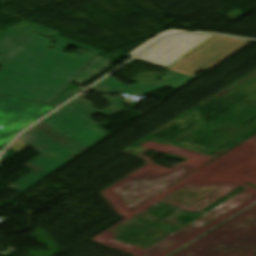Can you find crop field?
I'll return each mask as SVG.
<instances>
[{
	"instance_id": "obj_7",
	"label": "crop field",
	"mask_w": 256,
	"mask_h": 256,
	"mask_svg": "<svg viewBox=\"0 0 256 256\" xmlns=\"http://www.w3.org/2000/svg\"><path fill=\"white\" fill-rule=\"evenodd\" d=\"M193 79L195 78L170 71L157 84L137 83L126 86L125 84L109 76L103 81L91 87L90 91L104 94H113L117 91H122L125 94H143L164 85L179 89Z\"/></svg>"
},
{
	"instance_id": "obj_8",
	"label": "crop field",
	"mask_w": 256,
	"mask_h": 256,
	"mask_svg": "<svg viewBox=\"0 0 256 256\" xmlns=\"http://www.w3.org/2000/svg\"><path fill=\"white\" fill-rule=\"evenodd\" d=\"M35 127L38 128L39 130H41L46 135H48L49 137H51L52 139H54L55 141H57L58 143H60L61 145H63L64 147L68 148L69 150H71L72 152L77 154L78 156L81 155L86 150H88V149L84 148L83 146H81L79 143H77L72 138L64 143H61L62 141H64L65 139H67L69 137L66 136L64 133H62L61 131L54 128L53 126L49 125L44 120L41 123L35 125Z\"/></svg>"
},
{
	"instance_id": "obj_9",
	"label": "crop field",
	"mask_w": 256,
	"mask_h": 256,
	"mask_svg": "<svg viewBox=\"0 0 256 256\" xmlns=\"http://www.w3.org/2000/svg\"><path fill=\"white\" fill-rule=\"evenodd\" d=\"M16 26H19L21 28L27 29L29 31L38 33L40 35L58 40L60 42H63V43H66V44H69V45H72V46H75V47H79V48H82V49H85V50L92 51V52L97 53V54L104 53L103 51H100V50H97V49H94V48H90V47L81 45L79 43L70 41V40H68L64 37L58 36L60 33L57 32V31L45 28L43 26L28 22V21H25V20L21 21Z\"/></svg>"
},
{
	"instance_id": "obj_13",
	"label": "crop field",
	"mask_w": 256,
	"mask_h": 256,
	"mask_svg": "<svg viewBox=\"0 0 256 256\" xmlns=\"http://www.w3.org/2000/svg\"><path fill=\"white\" fill-rule=\"evenodd\" d=\"M27 146L28 145H26L24 142H22V141L17 139L9 148L19 152V151L23 150Z\"/></svg>"
},
{
	"instance_id": "obj_4",
	"label": "crop field",
	"mask_w": 256,
	"mask_h": 256,
	"mask_svg": "<svg viewBox=\"0 0 256 256\" xmlns=\"http://www.w3.org/2000/svg\"><path fill=\"white\" fill-rule=\"evenodd\" d=\"M248 41L212 35L165 68L194 77L242 48Z\"/></svg>"
},
{
	"instance_id": "obj_1",
	"label": "crop field",
	"mask_w": 256,
	"mask_h": 256,
	"mask_svg": "<svg viewBox=\"0 0 256 256\" xmlns=\"http://www.w3.org/2000/svg\"><path fill=\"white\" fill-rule=\"evenodd\" d=\"M23 36L29 41L22 44L13 40ZM52 41L15 27L1 35L0 92L49 104L96 56L88 52L81 58L63 54L68 45L50 44ZM50 46L54 48L48 49Z\"/></svg>"
},
{
	"instance_id": "obj_3",
	"label": "crop field",
	"mask_w": 256,
	"mask_h": 256,
	"mask_svg": "<svg viewBox=\"0 0 256 256\" xmlns=\"http://www.w3.org/2000/svg\"><path fill=\"white\" fill-rule=\"evenodd\" d=\"M19 139L41 153L25 164L33 171L7 187L20 193L78 157L34 127Z\"/></svg>"
},
{
	"instance_id": "obj_5",
	"label": "crop field",
	"mask_w": 256,
	"mask_h": 256,
	"mask_svg": "<svg viewBox=\"0 0 256 256\" xmlns=\"http://www.w3.org/2000/svg\"><path fill=\"white\" fill-rule=\"evenodd\" d=\"M52 108L53 106L0 95V125L4 126L0 129V146Z\"/></svg>"
},
{
	"instance_id": "obj_10",
	"label": "crop field",
	"mask_w": 256,
	"mask_h": 256,
	"mask_svg": "<svg viewBox=\"0 0 256 256\" xmlns=\"http://www.w3.org/2000/svg\"><path fill=\"white\" fill-rule=\"evenodd\" d=\"M109 65L110 60L108 58L99 56L98 58H95L90 64H88L74 80H79L81 82L87 81ZM91 69L94 70L91 71Z\"/></svg>"
},
{
	"instance_id": "obj_6",
	"label": "crop field",
	"mask_w": 256,
	"mask_h": 256,
	"mask_svg": "<svg viewBox=\"0 0 256 256\" xmlns=\"http://www.w3.org/2000/svg\"><path fill=\"white\" fill-rule=\"evenodd\" d=\"M210 36L186 35L167 39L137 58L165 67Z\"/></svg>"
},
{
	"instance_id": "obj_14",
	"label": "crop field",
	"mask_w": 256,
	"mask_h": 256,
	"mask_svg": "<svg viewBox=\"0 0 256 256\" xmlns=\"http://www.w3.org/2000/svg\"><path fill=\"white\" fill-rule=\"evenodd\" d=\"M81 90H83L82 87L79 88V89H77L76 91H74L73 93H71L70 95H68L67 97H65V98L62 99L61 101H59L58 103H56L55 106H58V105H60L61 103L65 102L66 100H68L69 98H71L72 96H74L75 94H77L78 92H80Z\"/></svg>"
},
{
	"instance_id": "obj_11",
	"label": "crop field",
	"mask_w": 256,
	"mask_h": 256,
	"mask_svg": "<svg viewBox=\"0 0 256 256\" xmlns=\"http://www.w3.org/2000/svg\"><path fill=\"white\" fill-rule=\"evenodd\" d=\"M181 32H186V31H182V30H176V29H170L167 31H163L160 34H158L157 36L149 39L148 41H146L144 44H142L140 47H138L136 50H134L132 53V55L138 53L139 51H141L142 49L146 48L147 46H149L151 43H153L154 41H156L159 38L171 35V34H175V33H181Z\"/></svg>"
},
{
	"instance_id": "obj_12",
	"label": "crop field",
	"mask_w": 256,
	"mask_h": 256,
	"mask_svg": "<svg viewBox=\"0 0 256 256\" xmlns=\"http://www.w3.org/2000/svg\"><path fill=\"white\" fill-rule=\"evenodd\" d=\"M76 89V87L69 85L51 105L55 104L56 102H58L59 100H61L62 98H64Z\"/></svg>"
},
{
	"instance_id": "obj_2",
	"label": "crop field",
	"mask_w": 256,
	"mask_h": 256,
	"mask_svg": "<svg viewBox=\"0 0 256 256\" xmlns=\"http://www.w3.org/2000/svg\"><path fill=\"white\" fill-rule=\"evenodd\" d=\"M85 96V94L79 95L77 98L66 104V106L44 120L58 127L67 135L89 149L111 135L91 122L93 120L90 119V116L94 114L108 116L119 112L125 109L120 102L126 101L117 97L98 95L110 105L109 107L98 111L92 108L89 101L82 100Z\"/></svg>"
}]
</instances>
